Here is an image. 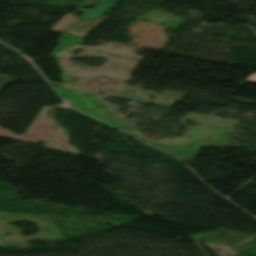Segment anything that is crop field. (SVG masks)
I'll list each match as a JSON object with an SVG mask.
<instances>
[{"label": "crop field", "mask_w": 256, "mask_h": 256, "mask_svg": "<svg viewBox=\"0 0 256 256\" xmlns=\"http://www.w3.org/2000/svg\"><path fill=\"white\" fill-rule=\"evenodd\" d=\"M118 1L120 0H103L99 5L95 6L91 10L78 8L76 11L85 13L80 19L84 21L93 20L103 17L107 11L116 5Z\"/></svg>", "instance_id": "1"}, {"label": "crop field", "mask_w": 256, "mask_h": 256, "mask_svg": "<svg viewBox=\"0 0 256 256\" xmlns=\"http://www.w3.org/2000/svg\"><path fill=\"white\" fill-rule=\"evenodd\" d=\"M247 81L256 82V73L253 74V75H251V76L249 77V79H247Z\"/></svg>", "instance_id": "2"}]
</instances>
